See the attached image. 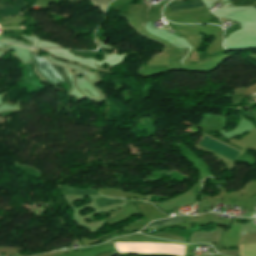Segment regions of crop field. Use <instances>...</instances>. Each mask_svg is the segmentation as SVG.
Listing matches in <instances>:
<instances>
[{"mask_svg": "<svg viewBox=\"0 0 256 256\" xmlns=\"http://www.w3.org/2000/svg\"><path fill=\"white\" fill-rule=\"evenodd\" d=\"M34 60L38 65V69L41 74L45 76V78L50 81L52 84L60 85L56 78H59L61 82H63L61 76L58 72L52 67L51 63L40 57L38 54H32Z\"/></svg>", "mask_w": 256, "mask_h": 256, "instance_id": "8a807250", "label": "crop field"}, {"mask_svg": "<svg viewBox=\"0 0 256 256\" xmlns=\"http://www.w3.org/2000/svg\"><path fill=\"white\" fill-rule=\"evenodd\" d=\"M15 111H20L19 108H15Z\"/></svg>", "mask_w": 256, "mask_h": 256, "instance_id": "3316defc", "label": "crop field"}, {"mask_svg": "<svg viewBox=\"0 0 256 256\" xmlns=\"http://www.w3.org/2000/svg\"><path fill=\"white\" fill-rule=\"evenodd\" d=\"M95 5L103 10V8L108 4L111 0H91Z\"/></svg>", "mask_w": 256, "mask_h": 256, "instance_id": "d8731c3e", "label": "crop field"}, {"mask_svg": "<svg viewBox=\"0 0 256 256\" xmlns=\"http://www.w3.org/2000/svg\"><path fill=\"white\" fill-rule=\"evenodd\" d=\"M59 189L62 190L63 194H68V195H78V196L100 195L95 190H80V189H73V188L64 187V186H59Z\"/></svg>", "mask_w": 256, "mask_h": 256, "instance_id": "f4fd0767", "label": "crop field"}, {"mask_svg": "<svg viewBox=\"0 0 256 256\" xmlns=\"http://www.w3.org/2000/svg\"><path fill=\"white\" fill-rule=\"evenodd\" d=\"M182 221H183L182 217H177V218H173V219H169L161 222L151 223L146 229L156 227V226L173 224V223L182 222Z\"/></svg>", "mask_w": 256, "mask_h": 256, "instance_id": "e52e79f7", "label": "crop field"}, {"mask_svg": "<svg viewBox=\"0 0 256 256\" xmlns=\"http://www.w3.org/2000/svg\"><path fill=\"white\" fill-rule=\"evenodd\" d=\"M0 3L4 5L3 8H0V18L10 15H19V11L25 6L24 1L22 0H16L14 6H8L4 1H0Z\"/></svg>", "mask_w": 256, "mask_h": 256, "instance_id": "34b2d1b8", "label": "crop field"}, {"mask_svg": "<svg viewBox=\"0 0 256 256\" xmlns=\"http://www.w3.org/2000/svg\"><path fill=\"white\" fill-rule=\"evenodd\" d=\"M69 70H70V72H72L71 69H69Z\"/></svg>", "mask_w": 256, "mask_h": 256, "instance_id": "28ad6ade", "label": "crop field"}, {"mask_svg": "<svg viewBox=\"0 0 256 256\" xmlns=\"http://www.w3.org/2000/svg\"><path fill=\"white\" fill-rule=\"evenodd\" d=\"M201 145L233 160V161H236L237 157H238V154L239 152L232 149V148H229L207 136H204L203 138V141L201 143Z\"/></svg>", "mask_w": 256, "mask_h": 256, "instance_id": "ac0d7876", "label": "crop field"}, {"mask_svg": "<svg viewBox=\"0 0 256 256\" xmlns=\"http://www.w3.org/2000/svg\"><path fill=\"white\" fill-rule=\"evenodd\" d=\"M98 207L109 206L117 203H121L120 199L98 198L94 200Z\"/></svg>", "mask_w": 256, "mask_h": 256, "instance_id": "dd49c442", "label": "crop field"}, {"mask_svg": "<svg viewBox=\"0 0 256 256\" xmlns=\"http://www.w3.org/2000/svg\"><path fill=\"white\" fill-rule=\"evenodd\" d=\"M57 70H58V72L62 75V77L65 79V81L67 82V84L69 85V89H72L71 88V86H70V84L68 83V79H67V77H66V75H65V73H64V71H63V68L62 67H60V66H55V65H53Z\"/></svg>", "mask_w": 256, "mask_h": 256, "instance_id": "5a996713", "label": "crop field"}, {"mask_svg": "<svg viewBox=\"0 0 256 256\" xmlns=\"http://www.w3.org/2000/svg\"><path fill=\"white\" fill-rule=\"evenodd\" d=\"M169 6L172 12H176V11L189 10L197 7H203L204 4L201 2V0H191L186 3H183V1L176 2Z\"/></svg>", "mask_w": 256, "mask_h": 256, "instance_id": "412701ff", "label": "crop field"}]
</instances>
